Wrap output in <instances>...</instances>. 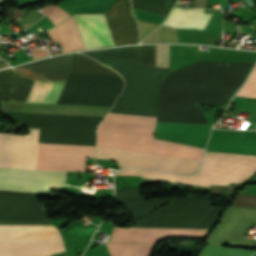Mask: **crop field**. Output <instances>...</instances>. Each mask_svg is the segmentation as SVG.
<instances>
[{"instance_id":"crop-field-1","label":"crop field","mask_w":256,"mask_h":256,"mask_svg":"<svg viewBox=\"0 0 256 256\" xmlns=\"http://www.w3.org/2000/svg\"><path fill=\"white\" fill-rule=\"evenodd\" d=\"M155 120L108 113L97 129L95 158L115 159L120 168L194 174L203 149L153 138Z\"/></svg>"},{"instance_id":"crop-field-2","label":"crop field","mask_w":256,"mask_h":256,"mask_svg":"<svg viewBox=\"0 0 256 256\" xmlns=\"http://www.w3.org/2000/svg\"><path fill=\"white\" fill-rule=\"evenodd\" d=\"M30 136L0 134V168L34 169L39 130ZM66 171L0 169V190L37 191L61 186Z\"/></svg>"},{"instance_id":"crop-field-3","label":"crop field","mask_w":256,"mask_h":256,"mask_svg":"<svg viewBox=\"0 0 256 256\" xmlns=\"http://www.w3.org/2000/svg\"><path fill=\"white\" fill-rule=\"evenodd\" d=\"M256 170V156L205 152L200 171L192 176L122 169L116 175H141L144 178L209 187V184L239 183Z\"/></svg>"},{"instance_id":"crop-field-4","label":"crop field","mask_w":256,"mask_h":256,"mask_svg":"<svg viewBox=\"0 0 256 256\" xmlns=\"http://www.w3.org/2000/svg\"><path fill=\"white\" fill-rule=\"evenodd\" d=\"M123 85L120 76L70 74L56 104L111 106Z\"/></svg>"},{"instance_id":"crop-field-5","label":"crop field","mask_w":256,"mask_h":256,"mask_svg":"<svg viewBox=\"0 0 256 256\" xmlns=\"http://www.w3.org/2000/svg\"><path fill=\"white\" fill-rule=\"evenodd\" d=\"M62 250L56 229L0 228V256H50Z\"/></svg>"},{"instance_id":"crop-field-6","label":"crop field","mask_w":256,"mask_h":256,"mask_svg":"<svg viewBox=\"0 0 256 256\" xmlns=\"http://www.w3.org/2000/svg\"><path fill=\"white\" fill-rule=\"evenodd\" d=\"M94 147L39 144L35 169L83 171Z\"/></svg>"},{"instance_id":"crop-field-7","label":"crop field","mask_w":256,"mask_h":256,"mask_svg":"<svg viewBox=\"0 0 256 256\" xmlns=\"http://www.w3.org/2000/svg\"><path fill=\"white\" fill-rule=\"evenodd\" d=\"M115 46L138 43L137 20L131 11V0H116L104 13Z\"/></svg>"},{"instance_id":"crop-field-8","label":"crop field","mask_w":256,"mask_h":256,"mask_svg":"<svg viewBox=\"0 0 256 256\" xmlns=\"http://www.w3.org/2000/svg\"><path fill=\"white\" fill-rule=\"evenodd\" d=\"M86 49L114 46L103 14L74 15Z\"/></svg>"},{"instance_id":"crop-field-9","label":"crop field","mask_w":256,"mask_h":256,"mask_svg":"<svg viewBox=\"0 0 256 256\" xmlns=\"http://www.w3.org/2000/svg\"><path fill=\"white\" fill-rule=\"evenodd\" d=\"M71 58V55L56 57L14 69L40 81H65L69 74Z\"/></svg>"},{"instance_id":"crop-field-10","label":"crop field","mask_w":256,"mask_h":256,"mask_svg":"<svg viewBox=\"0 0 256 256\" xmlns=\"http://www.w3.org/2000/svg\"><path fill=\"white\" fill-rule=\"evenodd\" d=\"M208 230L191 229H155V228H120L112 241L156 242L157 239L172 236L204 237ZM111 241V240H110Z\"/></svg>"},{"instance_id":"crop-field-11","label":"crop field","mask_w":256,"mask_h":256,"mask_svg":"<svg viewBox=\"0 0 256 256\" xmlns=\"http://www.w3.org/2000/svg\"><path fill=\"white\" fill-rule=\"evenodd\" d=\"M204 8L180 9L173 7L162 25L174 28L204 29L212 14H203Z\"/></svg>"},{"instance_id":"crop-field-12","label":"crop field","mask_w":256,"mask_h":256,"mask_svg":"<svg viewBox=\"0 0 256 256\" xmlns=\"http://www.w3.org/2000/svg\"><path fill=\"white\" fill-rule=\"evenodd\" d=\"M53 40L62 46L61 52L84 49L78 28L73 17L49 31Z\"/></svg>"},{"instance_id":"crop-field-13","label":"crop field","mask_w":256,"mask_h":256,"mask_svg":"<svg viewBox=\"0 0 256 256\" xmlns=\"http://www.w3.org/2000/svg\"><path fill=\"white\" fill-rule=\"evenodd\" d=\"M50 83L36 81L27 102L40 103ZM65 83H51L42 102L55 104Z\"/></svg>"},{"instance_id":"crop-field-14","label":"crop field","mask_w":256,"mask_h":256,"mask_svg":"<svg viewBox=\"0 0 256 256\" xmlns=\"http://www.w3.org/2000/svg\"><path fill=\"white\" fill-rule=\"evenodd\" d=\"M70 73L118 75L115 71L78 53L73 55Z\"/></svg>"},{"instance_id":"crop-field-15","label":"crop field","mask_w":256,"mask_h":256,"mask_svg":"<svg viewBox=\"0 0 256 256\" xmlns=\"http://www.w3.org/2000/svg\"><path fill=\"white\" fill-rule=\"evenodd\" d=\"M111 256H149L154 244L106 243Z\"/></svg>"},{"instance_id":"crop-field-16","label":"crop field","mask_w":256,"mask_h":256,"mask_svg":"<svg viewBox=\"0 0 256 256\" xmlns=\"http://www.w3.org/2000/svg\"><path fill=\"white\" fill-rule=\"evenodd\" d=\"M176 0H132L133 8L167 16Z\"/></svg>"},{"instance_id":"crop-field-17","label":"crop field","mask_w":256,"mask_h":256,"mask_svg":"<svg viewBox=\"0 0 256 256\" xmlns=\"http://www.w3.org/2000/svg\"><path fill=\"white\" fill-rule=\"evenodd\" d=\"M139 65L155 67V45L139 46Z\"/></svg>"},{"instance_id":"crop-field-18","label":"crop field","mask_w":256,"mask_h":256,"mask_svg":"<svg viewBox=\"0 0 256 256\" xmlns=\"http://www.w3.org/2000/svg\"><path fill=\"white\" fill-rule=\"evenodd\" d=\"M238 97L256 98V66L244 86L237 93Z\"/></svg>"},{"instance_id":"crop-field-19","label":"crop field","mask_w":256,"mask_h":256,"mask_svg":"<svg viewBox=\"0 0 256 256\" xmlns=\"http://www.w3.org/2000/svg\"><path fill=\"white\" fill-rule=\"evenodd\" d=\"M45 14L48 16V18L57 25L61 21H63L65 18H67L69 15L65 13L63 10H61L57 6H48L42 8Z\"/></svg>"},{"instance_id":"crop-field-20","label":"crop field","mask_w":256,"mask_h":256,"mask_svg":"<svg viewBox=\"0 0 256 256\" xmlns=\"http://www.w3.org/2000/svg\"><path fill=\"white\" fill-rule=\"evenodd\" d=\"M169 45H156V67L168 68Z\"/></svg>"},{"instance_id":"crop-field-21","label":"crop field","mask_w":256,"mask_h":256,"mask_svg":"<svg viewBox=\"0 0 256 256\" xmlns=\"http://www.w3.org/2000/svg\"><path fill=\"white\" fill-rule=\"evenodd\" d=\"M31 53L33 59L48 56L46 50L44 49L33 50Z\"/></svg>"}]
</instances>
